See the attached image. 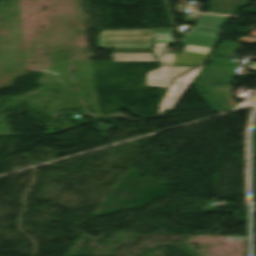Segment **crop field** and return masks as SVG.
<instances>
[{
    "mask_svg": "<svg viewBox=\"0 0 256 256\" xmlns=\"http://www.w3.org/2000/svg\"><path fill=\"white\" fill-rule=\"evenodd\" d=\"M201 69L202 66L174 79L172 84L167 89V91H170L171 94L169 97L164 99L161 106L171 110V108L174 106V104L177 102V100L180 98V96L183 94V92L190 85V83Z\"/></svg>",
    "mask_w": 256,
    "mask_h": 256,
    "instance_id": "1",
    "label": "crop field"
},
{
    "mask_svg": "<svg viewBox=\"0 0 256 256\" xmlns=\"http://www.w3.org/2000/svg\"><path fill=\"white\" fill-rule=\"evenodd\" d=\"M221 29L197 26L192 35L185 34L181 43L212 48Z\"/></svg>",
    "mask_w": 256,
    "mask_h": 256,
    "instance_id": "2",
    "label": "crop field"
},
{
    "mask_svg": "<svg viewBox=\"0 0 256 256\" xmlns=\"http://www.w3.org/2000/svg\"><path fill=\"white\" fill-rule=\"evenodd\" d=\"M191 68L162 66L147 74V85L167 87L171 79Z\"/></svg>",
    "mask_w": 256,
    "mask_h": 256,
    "instance_id": "3",
    "label": "crop field"
},
{
    "mask_svg": "<svg viewBox=\"0 0 256 256\" xmlns=\"http://www.w3.org/2000/svg\"><path fill=\"white\" fill-rule=\"evenodd\" d=\"M184 49L179 56H176L174 64L166 65H184V66H197L199 64H190L191 62L203 63L212 49L196 47L182 44Z\"/></svg>",
    "mask_w": 256,
    "mask_h": 256,
    "instance_id": "4",
    "label": "crop field"
},
{
    "mask_svg": "<svg viewBox=\"0 0 256 256\" xmlns=\"http://www.w3.org/2000/svg\"><path fill=\"white\" fill-rule=\"evenodd\" d=\"M201 92L204 94V96L208 99V101L211 103V106L209 102L204 98V96L199 92V90L196 88L197 92L200 94V96L204 99V101L208 104V106L211 108L212 111H218V110H231L234 106H236V103L234 100H232L233 94L231 90L229 89H216V88H207L209 92L214 96V98L219 102V104L222 106L220 107L217 102L212 98V96L207 92L205 88V92L211 97V99L217 104V106L220 108L218 109L215 104L209 99V97L203 92L201 88H199ZM231 103H235L234 106L231 105Z\"/></svg>",
    "mask_w": 256,
    "mask_h": 256,
    "instance_id": "5",
    "label": "crop field"
},
{
    "mask_svg": "<svg viewBox=\"0 0 256 256\" xmlns=\"http://www.w3.org/2000/svg\"><path fill=\"white\" fill-rule=\"evenodd\" d=\"M247 2L248 0H210L209 13L230 15L235 11L236 6L245 5Z\"/></svg>",
    "mask_w": 256,
    "mask_h": 256,
    "instance_id": "6",
    "label": "crop field"
},
{
    "mask_svg": "<svg viewBox=\"0 0 256 256\" xmlns=\"http://www.w3.org/2000/svg\"><path fill=\"white\" fill-rule=\"evenodd\" d=\"M229 17L215 15H200L197 25L219 28Z\"/></svg>",
    "mask_w": 256,
    "mask_h": 256,
    "instance_id": "7",
    "label": "crop field"
},
{
    "mask_svg": "<svg viewBox=\"0 0 256 256\" xmlns=\"http://www.w3.org/2000/svg\"><path fill=\"white\" fill-rule=\"evenodd\" d=\"M162 47L163 49H160ZM153 52L160 63H173L176 53H168L165 43H154Z\"/></svg>",
    "mask_w": 256,
    "mask_h": 256,
    "instance_id": "8",
    "label": "crop field"
},
{
    "mask_svg": "<svg viewBox=\"0 0 256 256\" xmlns=\"http://www.w3.org/2000/svg\"><path fill=\"white\" fill-rule=\"evenodd\" d=\"M113 61H156L153 54H112Z\"/></svg>",
    "mask_w": 256,
    "mask_h": 256,
    "instance_id": "9",
    "label": "crop field"
},
{
    "mask_svg": "<svg viewBox=\"0 0 256 256\" xmlns=\"http://www.w3.org/2000/svg\"><path fill=\"white\" fill-rule=\"evenodd\" d=\"M154 42L176 43L172 40V29L153 30Z\"/></svg>",
    "mask_w": 256,
    "mask_h": 256,
    "instance_id": "10",
    "label": "crop field"
}]
</instances>
